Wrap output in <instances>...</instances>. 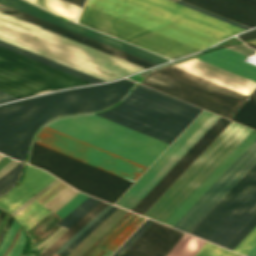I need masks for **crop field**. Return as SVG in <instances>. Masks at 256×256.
<instances>
[{"label":"crop field","mask_w":256,"mask_h":256,"mask_svg":"<svg viewBox=\"0 0 256 256\" xmlns=\"http://www.w3.org/2000/svg\"><path fill=\"white\" fill-rule=\"evenodd\" d=\"M219 40L242 31L220 20L168 0H119Z\"/></svg>","instance_id":"d1516ede"},{"label":"crop field","mask_w":256,"mask_h":256,"mask_svg":"<svg viewBox=\"0 0 256 256\" xmlns=\"http://www.w3.org/2000/svg\"><path fill=\"white\" fill-rule=\"evenodd\" d=\"M66 1H68V2H71V3H74V4H76V5H79V6H83V4H84V2H85V0H66ZM73 4V5H74ZM78 6V7H79Z\"/></svg>","instance_id":"78b8030e"},{"label":"crop field","mask_w":256,"mask_h":256,"mask_svg":"<svg viewBox=\"0 0 256 256\" xmlns=\"http://www.w3.org/2000/svg\"><path fill=\"white\" fill-rule=\"evenodd\" d=\"M0 213H1V210H0Z\"/></svg>","instance_id":"c3a83c6f"},{"label":"crop field","mask_w":256,"mask_h":256,"mask_svg":"<svg viewBox=\"0 0 256 256\" xmlns=\"http://www.w3.org/2000/svg\"><path fill=\"white\" fill-rule=\"evenodd\" d=\"M255 232L256 227L245 237V239L234 249V251L237 252Z\"/></svg>","instance_id":"7b73153f"},{"label":"crop field","mask_w":256,"mask_h":256,"mask_svg":"<svg viewBox=\"0 0 256 256\" xmlns=\"http://www.w3.org/2000/svg\"><path fill=\"white\" fill-rule=\"evenodd\" d=\"M177 3L182 4V5H184V6H187V7H189V8L195 9V10H197V11H200V12H202V13H205V14H207V15H210V16H212V17H215V18H217V19H220V20H222V21H225V22H227V23L233 24V25L238 26V27H240V28H243V29H245V30L248 29V28H246V27L240 26V25H238V24H235V23L230 22V21H228V20L222 19V18L217 17V16H215V15H212V14H210V13L204 12V11L199 10V9H197V8H194V7H192V6H189V5H186V4H184V3H181V2H179V1H177Z\"/></svg>","instance_id":"89e229c0"},{"label":"crop field","mask_w":256,"mask_h":256,"mask_svg":"<svg viewBox=\"0 0 256 256\" xmlns=\"http://www.w3.org/2000/svg\"><path fill=\"white\" fill-rule=\"evenodd\" d=\"M172 1H174V2H175V1H177V0H172Z\"/></svg>","instance_id":"c5b07064"},{"label":"crop field","mask_w":256,"mask_h":256,"mask_svg":"<svg viewBox=\"0 0 256 256\" xmlns=\"http://www.w3.org/2000/svg\"><path fill=\"white\" fill-rule=\"evenodd\" d=\"M34 141L131 181L145 169L46 127Z\"/></svg>","instance_id":"28ad6ade"},{"label":"crop field","mask_w":256,"mask_h":256,"mask_svg":"<svg viewBox=\"0 0 256 256\" xmlns=\"http://www.w3.org/2000/svg\"><path fill=\"white\" fill-rule=\"evenodd\" d=\"M78 23L169 59L199 51L86 5Z\"/></svg>","instance_id":"d8731c3e"},{"label":"crop field","mask_w":256,"mask_h":256,"mask_svg":"<svg viewBox=\"0 0 256 256\" xmlns=\"http://www.w3.org/2000/svg\"><path fill=\"white\" fill-rule=\"evenodd\" d=\"M141 83L231 118L247 96L170 66Z\"/></svg>","instance_id":"e52e79f7"},{"label":"crop field","mask_w":256,"mask_h":256,"mask_svg":"<svg viewBox=\"0 0 256 256\" xmlns=\"http://www.w3.org/2000/svg\"><path fill=\"white\" fill-rule=\"evenodd\" d=\"M0 12L11 15V16L16 17L18 19H21L23 21L29 22V23L34 24L36 26L42 27V28L47 29L49 31L55 32V33L60 34L62 36L68 37V38L73 39L75 41H78L80 43L86 44L88 46H91L93 48L99 49V50L104 51L106 53L112 54V55L117 56L119 58H122L124 60L130 61V62L135 63V64L140 65V66H143L145 68L156 65V64L151 63L149 61L143 60L141 58H138L136 56H133V55L128 54L126 52H123L121 50L115 49L113 47H110L108 45H105L103 43L95 41L93 39L87 38L85 36H82L80 34H77L75 32L67 30L65 28L59 27L57 25H54L52 23H49V22L44 21L42 19H39L37 17L31 16L29 14H26L24 12H21V11L16 10L14 8H11L9 6L3 5L1 3H0Z\"/></svg>","instance_id":"bc2a9ffb"},{"label":"crop field","mask_w":256,"mask_h":256,"mask_svg":"<svg viewBox=\"0 0 256 256\" xmlns=\"http://www.w3.org/2000/svg\"><path fill=\"white\" fill-rule=\"evenodd\" d=\"M152 223L153 221L147 219L113 256L121 255Z\"/></svg>","instance_id":"c21b1889"},{"label":"crop field","mask_w":256,"mask_h":256,"mask_svg":"<svg viewBox=\"0 0 256 256\" xmlns=\"http://www.w3.org/2000/svg\"><path fill=\"white\" fill-rule=\"evenodd\" d=\"M0 40L105 81L145 69L3 13Z\"/></svg>","instance_id":"ac0d7876"},{"label":"crop field","mask_w":256,"mask_h":256,"mask_svg":"<svg viewBox=\"0 0 256 256\" xmlns=\"http://www.w3.org/2000/svg\"><path fill=\"white\" fill-rule=\"evenodd\" d=\"M61 228H62V227H61ZM62 229L67 230L66 228H62ZM59 230H60V229H59ZM59 230H58V231H59ZM65 230H63V231L60 230L59 232L57 231L58 233L56 232L57 234L55 233V234H56V235L54 234L55 236H57L61 231H62V232H61L57 237H55V236L53 235V236L55 237V238H54V237L52 236L54 239H53L52 237H50L49 239H47L46 241L50 240L51 238L53 239V240L51 239L52 241L50 240L51 242L48 241V242H50L49 244H47L48 242L45 241L46 243L43 242V243H45V244L42 243V244H43L42 246H40V245H41V244H40V245H39L40 247H38V246H37V247L40 249V248H42L43 246H45L46 244H47V247H48V246H49L53 241H55ZM47 247H46V248H47ZM46 248H45V249H46Z\"/></svg>","instance_id":"0765c3eb"},{"label":"crop field","mask_w":256,"mask_h":256,"mask_svg":"<svg viewBox=\"0 0 256 256\" xmlns=\"http://www.w3.org/2000/svg\"><path fill=\"white\" fill-rule=\"evenodd\" d=\"M48 127L147 168L169 146L96 115L60 120Z\"/></svg>","instance_id":"34b2d1b8"},{"label":"crop field","mask_w":256,"mask_h":256,"mask_svg":"<svg viewBox=\"0 0 256 256\" xmlns=\"http://www.w3.org/2000/svg\"><path fill=\"white\" fill-rule=\"evenodd\" d=\"M14 99H18V98L0 91V103L14 100Z\"/></svg>","instance_id":"1d79db26"},{"label":"crop field","mask_w":256,"mask_h":256,"mask_svg":"<svg viewBox=\"0 0 256 256\" xmlns=\"http://www.w3.org/2000/svg\"><path fill=\"white\" fill-rule=\"evenodd\" d=\"M24 245H25V233L22 230V232H21V234H20V236H19L15 246L13 247L11 252L8 254V256H20Z\"/></svg>","instance_id":"d23c7cc5"},{"label":"crop field","mask_w":256,"mask_h":256,"mask_svg":"<svg viewBox=\"0 0 256 256\" xmlns=\"http://www.w3.org/2000/svg\"><path fill=\"white\" fill-rule=\"evenodd\" d=\"M97 115L107 118L109 120H112L114 122H117L119 124H122L124 126H127L129 128H132L134 130H137L139 132H142L144 134H147L149 136H152L154 138H157L159 140H162L164 142H167L169 144H171L177 138V136L175 135H172L170 133H167L165 131H162L160 129L147 125L143 122H140L138 120H135L133 118L120 114L118 112H115L113 110H109Z\"/></svg>","instance_id":"eef30255"},{"label":"crop field","mask_w":256,"mask_h":256,"mask_svg":"<svg viewBox=\"0 0 256 256\" xmlns=\"http://www.w3.org/2000/svg\"><path fill=\"white\" fill-rule=\"evenodd\" d=\"M19 162L12 160L9 162L7 165H5L1 170H0V177L3 176L5 173H7L10 169H12L16 164Z\"/></svg>","instance_id":"0fb4a251"},{"label":"crop field","mask_w":256,"mask_h":256,"mask_svg":"<svg viewBox=\"0 0 256 256\" xmlns=\"http://www.w3.org/2000/svg\"><path fill=\"white\" fill-rule=\"evenodd\" d=\"M0 66L6 67L59 89L90 84V82L69 75L1 47Z\"/></svg>","instance_id":"5142ce71"},{"label":"crop field","mask_w":256,"mask_h":256,"mask_svg":"<svg viewBox=\"0 0 256 256\" xmlns=\"http://www.w3.org/2000/svg\"><path fill=\"white\" fill-rule=\"evenodd\" d=\"M249 98L234 115L232 120L256 129V89L251 93Z\"/></svg>","instance_id":"120bbe31"},{"label":"crop field","mask_w":256,"mask_h":256,"mask_svg":"<svg viewBox=\"0 0 256 256\" xmlns=\"http://www.w3.org/2000/svg\"><path fill=\"white\" fill-rule=\"evenodd\" d=\"M230 123L220 117L132 211L143 215Z\"/></svg>","instance_id":"cbeb9de0"},{"label":"crop field","mask_w":256,"mask_h":256,"mask_svg":"<svg viewBox=\"0 0 256 256\" xmlns=\"http://www.w3.org/2000/svg\"><path fill=\"white\" fill-rule=\"evenodd\" d=\"M255 226L256 215L235 235L225 248L233 250Z\"/></svg>","instance_id":"c035e120"},{"label":"crop field","mask_w":256,"mask_h":256,"mask_svg":"<svg viewBox=\"0 0 256 256\" xmlns=\"http://www.w3.org/2000/svg\"><path fill=\"white\" fill-rule=\"evenodd\" d=\"M4 215H5V212L2 211V213L0 214V223H1V221H2V219H3V217H4Z\"/></svg>","instance_id":"ae633e8c"},{"label":"crop field","mask_w":256,"mask_h":256,"mask_svg":"<svg viewBox=\"0 0 256 256\" xmlns=\"http://www.w3.org/2000/svg\"><path fill=\"white\" fill-rule=\"evenodd\" d=\"M196 58L256 81V66L243 61L246 56L228 48L210 52Z\"/></svg>","instance_id":"730fd06b"},{"label":"crop field","mask_w":256,"mask_h":256,"mask_svg":"<svg viewBox=\"0 0 256 256\" xmlns=\"http://www.w3.org/2000/svg\"><path fill=\"white\" fill-rule=\"evenodd\" d=\"M256 244V233L246 242V244L238 251L245 255Z\"/></svg>","instance_id":"25e5ab78"},{"label":"crop field","mask_w":256,"mask_h":256,"mask_svg":"<svg viewBox=\"0 0 256 256\" xmlns=\"http://www.w3.org/2000/svg\"><path fill=\"white\" fill-rule=\"evenodd\" d=\"M86 198H87V196L79 193L78 195H76L73 199H71L68 203H66L63 207H61L55 213L58 214L60 216V218H62L67 213H69L71 210H73L75 207H77L79 204H81Z\"/></svg>","instance_id":"b54c1fbb"},{"label":"crop field","mask_w":256,"mask_h":256,"mask_svg":"<svg viewBox=\"0 0 256 256\" xmlns=\"http://www.w3.org/2000/svg\"><path fill=\"white\" fill-rule=\"evenodd\" d=\"M218 118L203 111L116 204L132 210Z\"/></svg>","instance_id":"5a996713"},{"label":"crop field","mask_w":256,"mask_h":256,"mask_svg":"<svg viewBox=\"0 0 256 256\" xmlns=\"http://www.w3.org/2000/svg\"><path fill=\"white\" fill-rule=\"evenodd\" d=\"M4 156L0 154V159H2Z\"/></svg>","instance_id":"c39391a2"},{"label":"crop field","mask_w":256,"mask_h":256,"mask_svg":"<svg viewBox=\"0 0 256 256\" xmlns=\"http://www.w3.org/2000/svg\"><path fill=\"white\" fill-rule=\"evenodd\" d=\"M173 66L208 79L212 82L230 88L247 96H249L253 89L256 87L255 82L210 65L196 58Z\"/></svg>","instance_id":"214f88e0"},{"label":"crop field","mask_w":256,"mask_h":256,"mask_svg":"<svg viewBox=\"0 0 256 256\" xmlns=\"http://www.w3.org/2000/svg\"><path fill=\"white\" fill-rule=\"evenodd\" d=\"M30 164L43 168L74 188L114 203L133 182L34 142Z\"/></svg>","instance_id":"f4fd0767"},{"label":"crop field","mask_w":256,"mask_h":256,"mask_svg":"<svg viewBox=\"0 0 256 256\" xmlns=\"http://www.w3.org/2000/svg\"><path fill=\"white\" fill-rule=\"evenodd\" d=\"M113 110L177 136H179V134L191 123L189 120L144 103L130 96H128L117 107L113 108Z\"/></svg>","instance_id":"733c2abd"},{"label":"crop field","mask_w":256,"mask_h":256,"mask_svg":"<svg viewBox=\"0 0 256 256\" xmlns=\"http://www.w3.org/2000/svg\"><path fill=\"white\" fill-rule=\"evenodd\" d=\"M249 7L256 9V0H234Z\"/></svg>","instance_id":"db79e9e6"},{"label":"crop field","mask_w":256,"mask_h":256,"mask_svg":"<svg viewBox=\"0 0 256 256\" xmlns=\"http://www.w3.org/2000/svg\"><path fill=\"white\" fill-rule=\"evenodd\" d=\"M143 220L144 218L132 214L90 256H101L108 248L115 250Z\"/></svg>","instance_id":"ae1a2a85"},{"label":"crop field","mask_w":256,"mask_h":256,"mask_svg":"<svg viewBox=\"0 0 256 256\" xmlns=\"http://www.w3.org/2000/svg\"><path fill=\"white\" fill-rule=\"evenodd\" d=\"M182 235L154 222L121 256H166Z\"/></svg>","instance_id":"4a817a6b"},{"label":"crop field","mask_w":256,"mask_h":256,"mask_svg":"<svg viewBox=\"0 0 256 256\" xmlns=\"http://www.w3.org/2000/svg\"><path fill=\"white\" fill-rule=\"evenodd\" d=\"M86 5L199 50L219 41L116 0H87Z\"/></svg>","instance_id":"3316defc"},{"label":"crop field","mask_w":256,"mask_h":256,"mask_svg":"<svg viewBox=\"0 0 256 256\" xmlns=\"http://www.w3.org/2000/svg\"><path fill=\"white\" fill-rule=\"evenodd\" d=\"M205 241L184 234L167 256H195Z\"/></svg>","instance_id":"d32e631a"},{"label":"crop field","mask_w":256,"mask_h":256,"mask_svg":"<svg viewBox=\"0 0 256 256\" xmlns=\"http://www.w3.org/2000/svg\"><path fill=\"white\" fill-rule=\"evenodd\" d=\"M132 84L124 79L0 106V152L24 161L33 133L45 122L107 108L123 98Z\"/></svg>","instance_id":"8a807250"},{"label":"crop field","mask_w":256,"mask_h":256,"mask_svg":"<svg viewBox=\"0 0 256 256\" xmlns=\"http://www.w3.org/2000/svg\"><path fill=\"white\" fill-rule=\"evenodd\" d=\"M56 180H57V179H56ZM56 180H55V181H56ZM55 181H53L52 183H54ZM57 182H59V180H58ZM57 182H56V183H57ZM52 183H51V184H52ZM56 183H54L53 185H55ZM51 184H49L48 186H50ZM53 185H52V186H53ZM48 186H47V187H48ZM52 186H51V187H52ZM47 187H45L44 189H46ZM51 187H50V188H51ZM44 189H43V190H44ZM48 189H49V188H48ZM48 189H47V190H48ZM43 190H41L39 193H41ZM47 190H46V191H47ZM43 192H44V191H43ZM39 193H37V195H38ZM42 194H43V193H42ZM37 195H36V196H37ZM36 196H34V197H36ZM38 197H39V196H38ZM32 199H33V197H32L31 199H29L27 202H25V203H24L22 206H20L18 209H16L14 212H12L11 214L13 215L14 213H16L18 210H20L24 205H26V204H27L29 201H31ZM35 199H36V198H35ZM35 199H34V200H35ZM34 200H33V201H34ZM31 202H32V201H31ZM31 202H30V203H31ZM30 203H29V204H30ZM29 204H28V205H29ZM25 207H26V206H25ZM25 207H24V208H25ZM24 208H23V209H24ZM23 209H22V210H23ZM19 212H20V211H19ZM19 212H18V213H19ZM18 213H17V214H18ZM14 216H15V215H14Z\"/></svg>","instance_id":"447ae74e"},{"label":"crop field","mask_w":256,"mask_h":256,"mask_svg":"<svg viewBox=\"0 0 256 256\" xmlns=\"http://www.w3.org/2000/svg\"><path fill=\"white\" fill-rule=\"evenodd\" d=\"M250 43H252V44H255V45H256V41H254V42H250Z\"/></svg>","instance_id":"ade564c9"},{"label":"crop field","mask_w":256,"mask_h":256,"mask_svg":"<svg viewBox=\"0 0 256 256\" xmlns=\"http://www.w3.org/2000/svg\"><path fill=\"white\" fill-rule=\"evenodd\" d=\"M22 164H18L11 171H9L6 175L0 178V195L8 191L17 181Z\"/></svg>","instance_id":"0bd39190"},{"label":"crop field","mask_w":256,"mask_h":256,"mask_svg":"<svg viewBox=\"0 0 256 256\" xmlns=\"http://www.w3.org/2000/svg\"><path fill=\"white\" fill-rule=\"evenodd\" d=\"M0 90L22 98L59 89L0 67Z\"/></svg>","instance_id":"a9b5d70f"},{"label":"crop field","mask_w":256,"mask_h":256,"mask_svg":"<svg viewBox=\"0 0 256 256\" xmlns=\"http://www.w3.org/2000/svg\"><path fill=\"white\" fill-rule=\"evenodd\" d=\"M0 2L3 3V4L9 5L11 7H14L16 9H19L21 11H24L26 13H29L31 15L42 18L44 20H47L49 22H52L54 24H57L59 26H62V27H65L67 29H70L72 31H75L77 33H80L82 35H85L87 37L98 40L100 42H103V43L108 44L110 46H113L115 48L121 49L123 51L131 53V54L136 55L138 57H141L143 59L149 60V61L154 62L156 64H160V63L168 61V59H166V58L160 57V56L155 55L153 53H150V52H147V51L142 50L140 48L129 45L127 43L121 42V41L116 40L114 38H111L109 36L103 35L101 33L90 30L88 28L77 25L75 23L66 21L64 19H59V18L49 14L48 12H46L42 9H39L37 7L31 6V5L25 3L21 0H0Z\"/></svg>","instance_id":"d9b57169"},{"label":"crop field","mask_w":256,"mask_h":256,"mask_svg":"<svg viewBox=\"0 0 256 256\" xmlns=\"http://www.w3.org/2000/svg\"><path fill=\"white\" fill-rule=\"evenodd\" d=\"M245 46L243 44H240V45H236V46H232V47H228V48H230L232 50H235V51H237L239 53H242V54H244L246 56L248 54H250V55L254 54V52H255L254 50H251V49H249V48H247Z\"/></svg>","instance_id":"73cf0c24"},{"label":"crop field","mask_w":256,"mask_h":256,"mask_svg":"<svg viewBox=\"0 0 256 256\" xmlns=\"http://www.w3.org/2000/svg\"><path fill=\"white\" fill-rule=\"evenodd\" d=\"M61 16L76 21L81 7L63 0H28Z\"/></svg>","instance_id":"1d83c4d3"},{"label":"crop field","mask_w":256,"mask_h":256,"mask_svg":"<svg viewBox=\"0 0 256 256\" xmlns=\"http://www.w3.org/2000/svg\"><path fill=\"white\" fill-rule=\"evenodd\" d=\"M19 224L17 223V221L14 219L9 231L7 232L2 244L0 245V256L3 255V253L6 251V249L8 248V246L10 245V243L12 242L18 228H19Z\"/></svg>","instance_id":"5d738f31"},{"label":"crop field","mask_w":256,"mask_h":256,"mask_svg":"<svg viewBox=\"0 0 256 256\" xmlns=\"http://www.w3.org/2000/svg\"><path fill=\"white\" fill-rule=\"evenodd\" d=\"M54 179L47 172L27 165L21 184L0 199V207L11 213Z\"/></svg>","instance_id":"92a150f3"},{"label":"crop field","mask_w":256,"mask_h":256,"mask_svg":"<svg viewBox=\"0 0 256 256\" xmlns=\"http://www.w3.org/2000/svg\"><path fill=\"white\" fill-rule=\"evenodd\" d=\"M68 187H69V186H68ZM68 187H67V188H68ZM67 188H65V189H67ZM65 189H64V190H65ZM64 190H63V191H64ZM71 190H72V188L70 187V188H68V189H67L66 191H64V192L61 191V192H63V193L60 192V193H61V194L59 193L60 195H59V194L56 195V196L59 195L57 198H55L56 196L54 197L55 199L52 198L50 201H52L53 199H54V200H53L51 203H49L50 201H48L46 204H48V203H49V204H48L46 207L49 208L51 205H53L55 202H57L59 199H61L63 196H65V195H66L69 191H71ZM75 192H77V191H75V190L73 189L71 192H69L65 197H63L61 200H59L57 203H55V204H54L53 206H51L49 209L53 211L58 205H60L64 200H66L68 197H70V196H71L72 194H74ZM76 194H78V192L75 193L74 195H72L70 198H68V199H67L65 202H63L60 206H58V207L54 210V212H55L56 210H58L61 206H63L66 202H68L71 198H73ZM46 204H44V206H45Z\"/></svg>","instance_id":"03da06ac"},{"label":"crop field","mask_w":256,"mask_h":256,"mask_svg":"<svg viewBox=\"0 0 256 256\" xmlns=\"http://www.w3.org/2000/svg\"><path fill=\"white\" fill-rule=\"evenodd\" d=\"M249 27L256 26V10L232 0H182Z\"/></svg>","instance_id":"00972430"},{"label":"crop field","mask_w":256,"mask_h":256,"mask_svg":"<svg viewBox=\"0 0 256 256\" xmlns=\"http://www.w3.org/2000/svg\"><path fill=\"white\" fill-rule=\"evenodd\" d=\"M130 96L145 101L149 104L177 114L181 117L193 121L202 111L192 105L179 101L163 93L150 89L139 84Z\"/></svg>","instance_id":"dafd665d"},{"label":"crop field","mask_w":256,"mask_h":256,"mask_svg":"<svg viewBox=\"0 0 256 256\" xmlns=\"http://www.w3.org/2000/svg\"><path fill=\"white\" fill-rule=\"evenodd\" d=\"M119 209H120V208H119ZM119 209H118V210H119ZM118 210H116L114 213H116ZM125 212H126V210L120 209L115 215H113V214H114V213H113V214H112L113 216H112V215H111L112 217L110 216L111 218L108 217V218L104 221V222H106V221L110 218L106 223L103 222L104 224L102 223L103 225L101 224L102 226L100 225L101 227L99 226L100 228L98 227L99 229L97 228L98 230H96L95 232L93 231V232H94L95 234L101 236V235H102L115 221H117ZM127 212H128V211H127ZM127 212H126V213H127ZM126 213H125V214H126ZM125 214H124V215H125ZM124 215H123V216H124ZM123 216H122V217H123ZM114 224H115V223H114ZM114 224H113V225H114ZM113 225H112V226H113ZM112 226H111V227H112ZM111 227H110V228H111ZM110 228H109V229H110ZM109 229H108V230H109ZM95 234L92 235V233H91L89 236H91V235H92V236H91V237L88 236L89 238L87 237L88 239L86 238L87 240L85 239L86 241L84 240L85 242L83 241L84 243L82 242L83 244L81 243L82 245L80 244L81 246L79 245L80 247L78 246L79 248L77 247L78 249L76 248L77 250L75 249L76 251L74 250L75 252L73 251L74 253L72 252L73 254L71 253L72 255H70V256H80V255H81L98 237H99V236H97V235H95ZM98 239H99V238H98ZM98 239H97V240H98ZM97 240H96V241H97ZM95 243H96V242H95ZM95 243H94V244H95ZM82 255H83V254H82ZM82 255H81V256H82Z\"/></svg>","instance_id":"5866460e"},{"label":"crop field","mask_w":256,"mask_h":256,"mask_svg":"<svg viewBox=\"0 0 256 256\" xmlns=\"http://www.w3.org/2000/svg\"><path fill=\"white\" fill-rule=\"evenodd\" d=\"M99 202L100 200L89 197L80 206L61 219L57 225L64 226L68 229Z\"/></svg>","instance_id":"028f5c9d"},{"label":"crop field","mask_w":256,"mask_h":256,"mask_svg":"<svg viewBox=\"0 0 256 256\" xmlns=\"http://www.w3.org/2000/svg\"><path fill=\"white\" fill-rule=\"evenodd\" d=\"M0 46H1V47H4V48H6V49H9V50H11V51H14V52H16V53H19V54H21V55H24V56H26V57L32 58V59H34V60H37V61H39V62H42V63H44V64H47V65H49V66H52V67H54V68H57V69H59V70H62V71H64V72H67V73H69V74H72V75H75V76L80 77V78H82V79H85V80H87V81H90V82H92V83L105 82V81L100 80V79H98V78L92 77V76H90V75H87V74L82 73V72H80V71H77V70H75V69L69 68V67H67V66H64V65H62V64H59V63L54 62V61H52V60L46 59V58H44V57H41V56L36 55V54H34V53H31V52H29V51H26V50H23V49L18 48V47H16V46H13V45H11V44H8V43H6V42L0 41Z\"/></svg>","instance_id":"bd1437ed"},{"label":"crop field","mask_w":256,"mask_h":256,"mask_svg":"<svg viewBox=\"0 0 256 256\" xmlns=\"http://www.w3.org/2000/svg\"><path fill=\"white\" fill-rule=\"evenodd\" d=\"M249 256H256V245L247 253Z\"/></svg>","instance_id":"0f1d7ab4"},{"label":"crop field","mask_w":256,"mask_h":256,"mask_svg":"<svg viewBox=\"0 0 256 256\" xmlns=\"http://www.w3.org/2000/svg\"><path fill=\"white\" fill-rule=\"evenodd\" d=\"M238 37H239L242 41L256 38V29H253V30H251V31L245 32V33H243V34H240Z\"/></svg>","instance_id":"dbb93151"},{"label":"crop field","mask_w":256,"mask_h":256,"mask_svg":"<svg viewBox=\"0 0 256 256\" xmlns=\"http://www.w3.org/2000/svg\"><path fill=\"white\" fill-rule=\"evenodd\" d=\"M117 207H112L105 214H103L98 220H96L91 226H89L84 232H82L71 244H69L61 254L67 256L89 233H91L100 223H102Z\"/></svg>","instance_id":"e1f06a70"},{"label":"crop field","mask_w":256,"mask_h":256,"mask_svg":"<svg viewBox=\"0 0 256 256\" xmlns=\"http://www.w3.org/2000/svg\"><path fill=\"white\" fill-rule=\"evenodd\" d=\"M113 250L108 249L102 256H109Z\"/></svg>","instance_id":"e1d0b9f6"},{"label":"crop field","mask_w":256,"mask_h":256,"mask_svg":"<svg viewBox=\"0 0 256 256\" xmlns=\"http://www.w3.org/2000/svg\"><path fill=\"white\" fill-rule=\"evenodd\" d=\"M196 256H241L231 251L225 250L208 242L201 248Z\"/></svg>","instance_id":"b80d0937"},{"label":"crop field","mask_w":256,"mask_h":256,"mask_svg":"<svg viewBox=\"0 0 256 256\" xmlns=\"http://www.w3.org/2000/svg\"><path fill=\"white\" fill-rule=\"evenodd\" d=\"M256 139V131H252L245 140L227 157V159L210 175V177L192 194V196L166 222L173 226L183 214L205 193V191L228 169V167Z\"/></svg>","instance_id":"4177f3b9"},{"label":"crop field","mask_w":256,"mask_h":256,"mask_svg":"<svg viewBox=\"0 0 256 256\" xmlns=\"http://www.w3.org/2000/svg\"><path fill=\"white\" fill-rule=\"evenodd\" d=\"M108 203L101 201L85 216L70 227L61 235L51 246H49L40 256H54L55 252L62 247L72 236H74L82 227H84L93 217H95Z\"/></svg>","instance_id":"d3111659"},{"label":"crop field","mask_w":256,"mask_h":256,"mask_svg":"<svg viewBox=\"0 0 256 256\" xmlns=\"http://www.w3.org/2000/svg\"><path fill=\"white\" fill-rule=\"evenodd\" d=\"M13 219H14V218H12V217L10 216L8 222L6 223L4 229L2 230V232H1V234H0V243L2 242V240H3V238H4L5 234H6V232L8 231V229H9V227H10V225H11Z\"/></svg>","instance_id":"9d1cf04e"},{"label":"crop field","mask_w":256,"mask_h":256,"mask_svg":"<svg viewBox=\"0 0 256 256\" xmlns=\"http://www.w3.org/2000/svg\"><path fill=\"white\" fill-rule=\"evenodd\" d=\"M112 205H108L103 209L94 219H92L84 228H82L73 238H71L62 248H60L56 253L59 254L69 243H71L83 230H85L89 225H91L96 219H98L103 213H105ZM84 232V231H83Z\"/></svg>","instance_id":"425ffa30"},{"label":"crop field","mask_w":256,"mask_h":256,"mask_svg":"<svg viewBox=\"0 0 256 256\" xmlns=\"http://www.w3.org/2000/svg\"><path fill=\"white\" fill-rule=\"evenodd\" d=\"M248 46L252 47V48H255L256 49V46L255 45H252L250 43H246Z\"/></svg>","instance_id":"d14b1444"},{"label":"crop field","mask_w":256,"mask_h":256,"mask_svg":"<svg viewBox=\"0 0 256 256\" xmlns=\"http://www.w3.org/2000/svg\"><path fill=\"white\" fill-rule=\"evenodd\" d=\"M65 185L66 184H64L62 182L57 187H55L53 190H51L48 194H46L44 197H42L40 200H38L37 202L42 204L43 202H45L48 198H50L53 194H55L58 190H60Z\"/></svg>","instance_id":"1f2cbd36"},{"label":"crop field","mask_w":256,"mask_h":256,"mask_svg":"<svg viewBox=\"0 0 256 256\" xmlns=\"http://www.w3.org/2000/svg\"><path fill=\"white\" fill-rule=\"evenodd\" d=\"M251 131L232 122L144 216L164 223Z\"/></svg>","instance_id":"412701ff"},{"label":"crop field","mask_w":256,"mask_h":256,"mask_svg":"<svg viewBox=\"0 0 256 256\" xmlns=\"http://www.w3.org/2000/svg\"><path fill=\"white\" fill-rule=\"evenodd\" d=\"M59 183H61V181ZM59 183H57L55 186H57ZM55 186H53L51 189H53ZM65 187H67V185ZM65 187H63L61 190H63ZM51 189H49L47 192H45L34 202H32L29 206H27L23 211H21L18 215L15 216L26 231L50 212L49 209L42 206L44 203L41 205L36 201L40 199L42 196H44L46 193H48ZM60 191H58L57 193H59ZM55 195H53L52 197H54Z\"/></svg>","instance_id":"750c4746"},{"label":"crop field","mask_w":256,"mask_h":256,"mask_svg":"<svg viewBox=\"0 0 256 256\" xmlns=\"http://www.w3.org/2000/svg\"><path fill=\"white\" fill-rule=\"evenodd\" d=\"M256 213V163L190 232L224 247Z\"/></svg>","instance_id":"dd49c442"},{"label":"crop field","mask_w":256,"mask_h":256,"mask_svg":"<svg viewBox=\"0 0 256 256\" xmlns=\"http://www.w3.org/2000/svg\"><path fill=\"white\" fill-rule=\"evenodd\" d=\"M256 162V140L174 226L189 233Z\"/></svg>","instance_id":"22f410ed"}]
</instances>
